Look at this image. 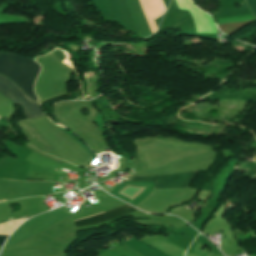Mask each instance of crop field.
<instances>
[{"mask_svg": "<svg viewBox=\"0 0 256 256\" xmlns=\"http://www.w3.org/2000/svg\"><path fill=\"white\" fill-rule=\"evenodd\" d=\"M199 171L185 172L165 176H129L132 181H155L154 189L158 188H187L191 180Z\"/></svg>", "mask_w": 256, "mask_h": 256, "instance_id": "obj_3", "label": "crop field"}, {"mask_svg": "<svg viewBox=\"0 0 256 256\" xmlns=\"http://www.w3.org/2000/svg\"><path fill=\"white\" fill-rule=\"evenodd\" d=\"M6 237H7V236H2V235H0V246H2V244H3V242H4V240H5Z\"/></svg>", "mask_w": 256, "mask_h": 256, "instance_id": "obj_7", "label": "crop field"}, {"mask_svg": "<svg viewBox=\"0 0 256 256\" xmlns=\"http://www.w3.org/2000/svg\"><path fill=\"white\" fill-rule=\"evenodd\" d=\"M134 210H136V209L127 205V204H125V205L120 206V207H118L116 209H113L111 211L101 213L98 216H95V217H92V218H89V219L71 224V226H72L73 229L82 228V227H86V226H92V225H95V224H99V223L109 221V220H111L115 217L125 215V214H127L129 212H132Z\"/></svg>", "mask_w": 256, "mask_h": 256, "instance_id": "obj_4", "label": "crop field"}, {"mask_svg": "<svg viewBox=\"0 0 256 256\" xmlns=\"http://www.w3.org/2000/svg\"><path fill=\"white\" fill-rule=\"evenodd\" d=\"M40 71V66L33 60L20 56L0 53V73L15 82L34 101L37 98L33 92L34 81Z\"/></svg>", "mask_w": 256, "mask_h": 256, "instance_id": "obj_1", "label": "crop field"}, {"mask_svg": "<svg viewBox=\"0 0 256 256\" xmlns=\"http://www.w3.org/2000/svg\"><path fill=\"white\" fill-rule=\"evenodd\" d=\"M12 219V218H11Z\"/></svg>", "mask_w": 256, "mask_h": 256, "instance_id": "obj_8", "label": "crop field"}, {"mask_svg": "<svg viewBox=\"0 0 256 256\" xmlns=\"http://www.w3.org/2000/svg\"><path fill=\"white\" fill-rule=\"evenodd\" d=\"M249 8L253 12L254 16L256 17V0H246Z\"/></svg>", "mask_w": 256, "mask_h": 256, "instance_id": "obj_6", "label": "crop field"}, {"mask_svg": "<svg viewBox=\"0 0 256 256\" xmlns=\"http://www.w3.org/2000/svg\"><path fill=\"white\" fill-rule=\"evenodd\" d=\"M146 12L152 33L157 29L154 19L164 14L166 8L163 0H141Z\"/></svg>", "mask_w": 256, "mask_h": 256, "instance_id": "obj_5", "label": "crop field"}, {"mask_svg": "<svg viewBox=\"0 0 256 256\" xmlns=\"http://www.w3.org/2000/svg\"><path fill=\"white\" fill-rule=\"evenodd\" d=\"M0 93L16 104H21L27 119L45 115L40 107L32 102L13 82L0 75Z\"/></svg>", "mask_w": 256, "mask_h": 256, "instance_id": "obj_2", "label": "crop field"}]
</instances>
